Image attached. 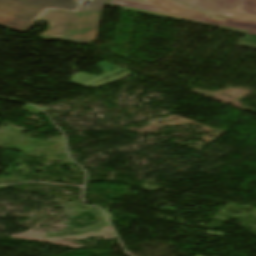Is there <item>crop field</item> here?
I'll return each mask as SVG.
<instances>
[{"label":"crop field","instance_id":"crop-field-1","mask_svg":"<svg viewBox=\"0 0 256 256\" xmlns=\"http://www.w3.org/2000/svg\"><path fill=\"white\" fill-rule=\"evenodd\" d=\"M109 0H94L77 12L48 10L39 20L50 24V29L38 38L45 41L63 38L77 43L94 41L97 38L104 4Z\"/></svg>","mask_w":256,"mask_h":256},{"label":"crop field","instance_id":"crop-field-2","mask_svg":"<svg viewBox=\"0 0 256 256\" xmlns=\"http://www.w3.org/2000/svg\"><path fill=\"white\" fill-rule=\"evenodd\" d=\"M73 0H0V24L22 31L47 8L76 10Z\"/></svg>","mask_w":256,"mask_h":256},{"label":"crop field","instance_id":"crop-field-3","mask_svg":"<svg viewBox=\"0 0 256 256\" xmlns=\"http://www.w3.org/2000/svg\"><path fill=\"white\" fill-rule=\"evenodd\" d=\"M106 5L215 27L223 23L222 20L208 18L212 14L198 12L172 0H110Z\"/></svg>","mask_w":256,"mask_h":256},{"label":"crop field","instance_id":"crop-field-4","mask_svg":"<svg viewBox=\"0 0 256 256\" xmlns=\"http://www.w3.org/2000/svg\"><path fill=\"white\" fill-rule=\"evenodd\" d=\"M204 12H231L256 16V0H177Z\"/></svg>","mask_w":256,"mask_h":256},{"label":"crop field","instance_id":"crop-field-5","mask_svg":"<svg viewBox=\"0 0 256 256\" xmlns=\"http://www.w3.org/2000/svg\"><path fill=\"white\" fill-rule=\"evenodd\" d=\"M219 28L256 35V18L231 13Z\"/></svg>","mask_w":256,"mask_h":256},{"label":"crop field","instance_id":"crop-field-6","mask_svg":"<svg viewBox=\"0 0 256 256\" xmlns=\"http://www.w3.org/2000/svg\"><path fill=\"white\" fill-rule=\"evenodd\" d=\"M238 46L256 50V36L246 34Z\"/></svg>","mask_w":256,"mask_h":256}]
</instances>
